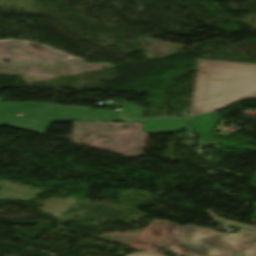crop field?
<instances>
[{
	"label": "crop field",
	"mask_w": 256,
	"mask_h": 256,
	"mask_svg": "<svg viewBox=\"0 0 256 256\" xmlns=\"http://www.w3.org/2000/svg\"><path fill=\"white\" fill-rule=\"evenodd\" d=\"M256 99V64L198 60L190 116Z\"/></svg>",
	"instance_id": "1"
},
{
	"label": "crop field",
	"mask_w": 256,
	"mask_h": 256,
	"mask_svg": "<svg viewBox=\"0 0 256 256\" xmlns=\"http://www.w3.org/2000/svg\"><path fill=\"white\" fill-rule=\"evenodd\" d=\"M130 256H155V255H148V254H136V255H130Z\"/></svg>",
	"instance_id": "4"
},
{
	"label": "crop field",
	"mask_w": 256,
	"mask_h": 256,
	"mask_svg": "<svg viewBox=\"0 0 256 256\" xmlns=\"http://www.w3.org/2000/svg\"><path fill=\"white\" fill-rule=\"evenodd\" d=\"M206 212L215 219L216 223L231 224L233 226L238 227V229H242V230H246V231L256 233V227H251V226L243 225V224H240V223L232 222V221H229V220L221 219L215 213H213L211 210H207Z\"/></svg>",
	"instance_id": "3"
},
{
	"label": "crop field",
	"mask_w": 256,
	"mask_h": 256,
	"mask_svg": "<svg viewBox=\"0 0 256 256\" xmlns=\"http://www.w3.org/2000/svg\"><path fill=\"white\" fill-rule=\"evenodd\" d=\"M174 231L182 237L179 243L189 251L185 256H256L255 234L243 231L225 234L190 224L178 226ZM207 243L215 248L210 249Z\"/></svg>",
	"instance_id": "2"
}]
</instances>
